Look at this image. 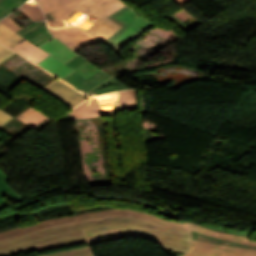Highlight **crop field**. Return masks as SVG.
<instances>
[{
  "mask_svg": "<svg viewBox=\"0 0 256 256\" xmlns=\"http://www.w3.org/2000/svg\"><path fill=\"white\" fill-rule=\"evenodd\" d=\"M124 236H144L162 249L185 253L191 248V230L183 223L149 213L111 209L54 218L0 233V256L34 247L36 251Z\"/></svg>",
  "mask_w": 256,
  "mask_h": 256,
  "instance_id": "crop-field-1",
  "label": "crop field"
},
{
  "mask_svg": "<svg viewBox=\"0 0 256 256\" xmlns=\"http://www.w3.org/2000/svg\"><path fill=\"white\" fill-rule=\"evenodd\" d=\"M54 22L49 30L78 25L101 43L123 26L107 17L125 4L120 0H36Z\"/></svg>",
  "mask_w": 256,
  "mask_h": 256,
  "instance_id": "crop-field-2",
  "label": "crop field"
},
{
  "mask_svg": "<svg viewBox=\"0 0 256 256\" xmlns=\"http://www.w3.org/2000/svg\"><path fill=\"white\" fill-rule=\"evenodd\" d=\"M192 230V248L187 254L196 256H256V242L184 222Z\"/></svg>",
  "mask_w": 256,
  "mask_h": 256,
  "instance_id": "crop-field-3",
  "label": "crop field"
},
{
  "mask_svg": "<svg viewBox=\"0 0 256 256\" xmlns=\"http://www.w3.org/2000/svg\"><path fill=\"white\" fill-rule=\"evenodd\" d=\"M138 108L136 90H127L86 100L70 112V120L91 118Z\"/></svg>",
  "mask_w": 256,
  "mask_h": 256,
  "instance_id": "crop-field-4",
  "label": "crop field"
},
{
  "mask_svg": "<svg viewBox=\"0 0 256 256\" xmlns=\"http://www.w3.org/2000/svg\"><path fill=\"white\" fill-rule=\"evenodd\" d=\"M108 18L124 26L102 43L117 53L122 46L139 37L154 25L129 6H125Z\"/></svg>",
  "mask_w": 256,
  "mask_h": 256,
  "instance_id": "crop-field-5",
  "label": "crop field"
},
{
  "mask_svg": "<svg viewBox=\"0 0 256 256\" xmlns=\"http://www.w3.org/2000/svg\"><path fill=\"white\" fill-rule=\"evenodd\" d=\"M38 47L49 53L50 56L48 55L49 57L37 65L61 80L75 72L65 64L78 54L72 52L57 39L52 37L48 41L38 45Z\"/></svg>",
  "mask_w": 256,
  "mask_h": 256,
  "instance_id": "crop-field-6",
  "label": "crop field"
},
{
  "mask_svg": "<svg viewBox=\"0 0 256 256\" xmlns=\"http://www.w3.org/2000/svg\"><path fill=\"white\" fill-rule=\"evenodd\" d=\"M50 32L66 45L70 46L73 50L99 43V41L94 39L78 26L51 30Z\"/></svg>",
  "mask_w": 256,
  "mask_h": 256,
  "instance_id": "crop-field-7",
  "label": "crop field"
},
{
  "mask_svg": "<svg viewBox=\"0 0 256 256\" xmlns=\"http://www.w3.org/2000/svg\"><path fill=\"white\" fill-rule=\"evenodd\" d=\"M41 89L53 95L54 97H56L57 99H59L71 108L80 104L82 101H84L86 97L58 79L45 85Z\"/></svg>",
  "mask_w": 256,
  "mask_h": 256,
  "instance_id": "crop-field-8",
  "label": "crop field"
},
{
  "mask_svg": "<svg viewBox=\"0 0 256 256\" xmlns=\"http://www.w3.org/2000/svg\"><path fill=\"white\" fill-rule=\"evenodd\" d=\"M110 77L111 76H109L102 70L89 76L88 78L75 72L62 81L74 88L75 90L81 92L82 94L87 95V93L91 89H93Z\"/></svg>",
  "mask_w": 256,
  "mask_h": 256,
  "instance_id": "crop-field-9",
  "label": "crop field"
},
{
  "mask_svg": "<svg viewBox=\"0 0 256 256\" xmlns=\"http://www.w3.org/2000/svg\"><path fill=\"white\" fill-rule=\"evenodd\" d=\"M18 9L21 10L23 13H25L27 16H29L33 21L45 20L43 12L38 7L35 0H30V1L26 2L25 4H23L22 6H20L19 8H17L10 15H8L6 18H4L0 21V22L4 23L5 25H7L9 28H11L15 32L22 29V27H20L18 24H16L9 17L13 13H15Z\"/></svg>",
  "mask_w": 256,
  "mask_h": 256,
  "instance_id": "crop-field-10",
  "label": "crop field"
},
{
  "mask_svg": "<svg viewBox=\"0 0 256 256\" xmlns=\"http://www.w3.org/2000/svg\"><path fill=\"white\" fill-rule=\"evenodd\" d=\"M21 35L22 37L30 40L35 45H38L45 40L49 39L52 37L47 30L46 25L40 23V22H35L26 28H24L22 31L17 33Z\"/></svg>",
  "mask_w": 256,
  "mask_h": 256,
  "instance_id": "crop-field-11",
  "label": "crop field"
},
{
  "mask_svg": "<svg viewBox=\"0 0 256 256\" xmlns=\"http://www.w3.org/2000/svg\"><path fill=\"white\" fill-rule=\"evenodd\" d=\"M13 50L36 64L49 55L30 43L28 40H25L15 46Z\"/></svg>",
  "mask_w": 256,
  "mask_h": 256,
  "instance_id": "crop-field-12",
  "label": "crop field"
},
{
  "mask_svg": "<svg viewBox=\"0 0 256 256\" xmlns=\"http://www.w3.org/2000/svg\"><path fill=\"white\" fill-rule=\"evenodd\" d=\"M8 178L9 177L0 169V209L10 205L3 196L8 195L16 203L24 200V198L8 186Z\"/></svg>",
  "mask_w": 256,
  "mask_h": 256,
  "instance_id": "crop-field-13",
  "label": "crop field"
},
{
  "mask_svg": "<svg viewBox=\"0 0 256 256\" xmlns=\"http://www.w3.org/2000/svg\"><path fill=\"white\" fill-rule=\"evenodd\" d=\"M128 87L116 80L115 78H111L104 82L103 84L99 85L98 87L94 88L88 95V98L93 96H99L103 94L112 93L115 91L127 89ZM87 98V99H88Z\"/></svg>",
  "mask_w": 256,
  "mask_h": 256,
  "instance_id": "crop-field-14",
  "label": "crop field"
},
{
  "mask_svg": "<svg viewBox=\"0 0 256 256\" xmlns=\"http://www.w3.org/2000/svg\"><path fill=\"white\" fill-rule=\"evenodd\" d=\"M21 121L25 122L29 126L33 127L36 126L48 119H50L49 116L45 115L44 113L40 112L39 110L31 107L24 113H22L20 116L17 117Z\"/></svg>",
  "mask_w": 256,
  "mask_h": 256,
  "instance_id": "crop-field-15",
  "label": "crop field"
},
{
  "mask_svg": "<svg viewBox=\"0 0 256 256\" xmlns=\"http://www.w3.org/2000/svg\"><path fill=\"white\" fill-rule=\"evenodd\" d=\"M25 40L11 29L0 23V42L8 48H12L19 42Z\"/></svg>",
  "mask_w": 256,
  "mask_h": 256,
  "instance_id": "crop-field-16",
  "label": "crop field"
},
{
  "mask_svg": "<svg viewBox=\"0 0 256 256\" xmlns=\"http://www.w3.org/2000/svg\"><path fill=\"white\" fill-rule=\"evenodd\" d=\"M39 256H93L89 247H80L68 250L57 251Z\"/></svg>",
  "mask_w": 256,
  "mask_h": 256,
  "instance_id": "crop-field-17",
  "label": "crop field"
},
{
  "mask_svg": "<svg viewBox=\"0 0 256 256\" xmlns=\"http://www.w3.org/2000/svg\"><path fill=\"white\" fill-rule=\"evenodd\" d=\"M22 3L20 0H0V19L19 7Z\"/></svg>",
  "mask_w": 256,
  "mask_h": 256,
  "instance_id": "crop-field-18",
  "label": "crop field"
},
{
  "mask_svg": "<svg viewBox=\"0 0 256 256\" xmlns=\"http://www.w3.org/2000/svg\"><path fill=\"white\" fill-rule=\"evenodd\" d=\"M74 70L87 77V76L99 71L100 69H98L96 66H94L89 61H86Z\"/></svg>",
  "mask_w": 256,
  "mask_h": 256,
  "instance_id": "crop-field-19",
  "label": "crop field"
},
{
  "mask_svg": "<svg viewBox=\"0 0 256 256\" xmlns=\"http://www.w3.org/2000/svg\"><path fill=\"white\" fill-rule=\"evenodd\" d=\"M15 54L16 53L0 45V65L3 64L8 59H10L11 57H13Z\"/></svg>",
  "mask_w": 256,
  "mask_h": 256,
  "instance_id": "crop-field-20",
  "label": "crop field"
},
{
  "mask_svg": "<svg viewBox=\"0 0 256 256\" xmlns=\"http://www.w3.org/2000/svg\"><path fill=\"white\" fill-rule=\"evenodd\" d=\"M1 109H0V128L2 126H4L5 124L9 123L10 121H12L13 119H15V116H13Z\"/></svg>",
  "mask_w": 256,
  "mask_h": 256,
  "instance_id": "crop-field-21",
  "label": "crop field"
},
{
  "mask_svg": "<svg viewBox=\"0 0 256 256\" xmlns=\"http://www.w3.org/2000/svg\"><path fill=\"white\" fill-rule=\"evenodd\" d=\"M210 229L216 230V231H220V232H225V233H231V234H236V235H240L243 236L247 239H250L251 236H249L248 234L245 233H240V232H235V231H229V230H224V229H220V228H216V227H212V226H206Z\"/></svg>",
  "mask_w": 256,
  "mask_h": 256,
  "instance_id": "crop-field-22",
  "label": "crop field"
},
{
  "mask_svg": "<svg viewBox=\"0 0 256 256\" xmlns=\"http://www.w3.org/2000/svg\"><path fill=\"white\" fill-rule=\"evenodd\" d=\"M84 61H86V59L82 58L81 56H77L76 58H74L72 61H70L68 64V66H70L71 68H76L77 66H79L81 63H83Z\"/></svg>",
  "mask_w": 256,
  "mask_h": 256,
  "instance_id": "crop-field-23",
  "label": "crop field"
},
{
  "mask_svg": "<svg viewBox=\"0 0 256 256\" xmlns=\"http://www.w3.org/2000/svg\"><path fill=\"white\" fill-rule=\"evenodd\" d=\"M50 124H52V120H49V121H47V122H45V123H42V124H40V125H38V126H36V127H34V128H36L37 130H39V129H41V128L47 126V125H50Z\"/></svg>",
  "mask_w": 256,
  "mask_h": 256,
  "instance_id": "crop-field-24",
  "label": "crop field"
},
{
  "mask_svg": "<svg viewBox=\"0 0 256 256\" xmlns=\"http://www.w3.org/2000/svg\"><path fill=\"white\" fill-rule=\"evenodd\" d=\"M175 1L177 4H179L181 7L186 4L189 0H173Z\"/></svg>",
  "mask_w": 256,
  "mask_h": 256,
  "instance_id": "crop-field-25",
  "label": "crop field"
},
{
  "mask_svg": "<svg viewBox=\"0 0 256 256\" xmlns=\"http://www.w3.org/2000/svg\"><path fill=\"white\" fill-rule=\"evenodd\" d=\"M181 256H191V255L183 254V255H181Z\"/></svg>",
  "mask_w": 256,
  "mask_h": 256,
  "instance_id": "crop-field-26",
  "label": "crop field"
}]
</instances>
